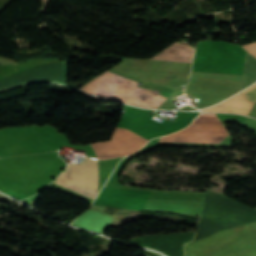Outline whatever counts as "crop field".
Here are the masks:
<instances>
[{
	"instance_id": "obj_1",
	"label": "crop field",
	"mask_w": 256,
	"mask_h": 256,
	"mask_svg": "<svg viewBox=\"0 0 256 256\" xmlns=\"http://www.w3.org/2000/svg\"><path fill=\"white\" fill-rule=\"evenodd\" d=\"M227 134L215 114L202 113L187 128L162 137L160 142L219 143Z\"/></svg>"
},
{
	"instance_id": "obj_2",
	"label": "crop field",
	"mask_w": 256,
	"mask_h": 256,
	"mask_svg": "<svg viewBox=\"0 0 256 256\" xmlns=\"http://www.w3.org/2000/svg\"><path fill=\"white\" fill-rule=\"evenodd\" d=\"M98 163L85 158L80 165L70 164L54 183L92 200L97 195Z\"/></svg>"
},
{
	"instance_id": "obj_3",
	"label": "crop field",
	"mask_w": 256,
	"mask_h": 256,
	"mask_svg": "<svg viewBox=\"0 0 256 256\" xmlns=\"http://www.w3.org/2000/svg\"><path fill=\"white\" fill-rule=\"evenodd\" d=\"M148 140L126 130L115 128L111 140L91 144L98 159L125 156L140 149Z\"/></svg>"
},
{
	"instance_id": "obj_4",
	"label": "crop field",
	"mask_w": 256,
	"mask_h": 256,
	"mask_svg": "<svg viewBox=\"0 0 256 256\" xmlns=\"http://www.w3.org/2000/svg\"><path fill=\"white\" fill-rule=\"evenodd\" d=\"M252 105L253 103L247 101L242 92H240L237 95L225 100L224 102L202 111L241 113L247 115Z\"/></svg>"
},
{
	"instance_id": "obj_5",
	"label": "crop field",
	"mask_w": 256,
	"mask_h": 256,
	"mask_svg": "<svg viewBox=\"0 0 256 256\" xmlns=\"http://www.w3.org/2000/svg\"><path fill=\"white\" fill-rule=\"evenodd\" d=\"M193 54L194 49H192L190 46L176 42L152 59L191 63Z\"/></svg>"
},
{
	"instance_id": "obj_6",
	"label": "crop field",
	"mask_w": 256,
	"mask_h": 256,
	"mask_svg": "<svg viewBox=\"0 0 256 256\" xmlns=\"http://www.w3.org/2000/svg\"><path fill=\"white\" fill-rule=\"evenodd\" d=\"M204 206L149 198L145 208L174 209L200 215Z\"/></svg>"
},
{
	"instance_id": "obj_7",
	"label": "crop field",
	"mask_w": 256,
	"mask_h": 256,
	"mask_svg": "<svg viewBox=\"0 0 256 256\" xmlns=\"http://www.w3.org/2000/svg\"><path fill=\"white\" fill-rule=\"evenodd\" d=\"M247 100L256 103V84L242 91Z\"/></svg>"
}]
</instances>
